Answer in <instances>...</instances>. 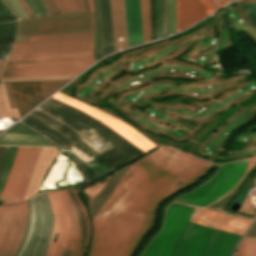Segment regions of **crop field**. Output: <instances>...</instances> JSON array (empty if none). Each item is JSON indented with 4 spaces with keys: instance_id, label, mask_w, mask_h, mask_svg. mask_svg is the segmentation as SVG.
I'll return each mask as SVG.
<instances>
[{
    "instance_id": "obj_1",
    "label": "crop field",
    "mask_w": 256,
    "mask_h": 256,
    "mask_svg": "<svg viewBox=\"0 0 256 256\" xmlns=\"http://www.w3.org/2000/svg\"><path fill=\"white\" fill-rule=\"evenodd\" d=\"M210 165L163 147L131 165L92 221L88 256H130L152 226L156 205L200 177Z\"/></svg>"
},
{
    "instance_id": "obj_2",
    "label": "crop field",
    "mask_w": 256,
    "mask_h": 256,
    "mask_svg": "<svg viewBox=\"0 0 256 256\" xmlns=\"http://www.w3.org/2000/svg\"><path fill=\"white\" fill-rule=\"evenodd\" d=\"M248 160L222 164L219 171L203 185L174 200L165 212L162 229L141 256H231L240 234L244 233L252 220L203 208L220 200L236 187L256 163V158ZM187 217L190 222L240 234L190 223Z\"/></svg>"
},
{
    "instance_id": "obj_3",
    "label": "crop field",
    "mask_w": 256,
    "mask_h": 256,
    "mask_svg": "<svg viewBox=\"0 0 256 256\" xmlns=\"http://www.w3.org/2000/svg\"><path fill=\"white\" fill-rule=\"evenodd\" d=\"M94 32L17 37L7 61L93 57Z\"/></svg>"
},
{
    "instance_id": "obj_4",
    "label": "crop field",
    "mask_w": 256,
    "mask_h": 256,
    "mask_svg": "<svg viewBox=\"0 0 256 256\" xmlns=\"http://www.w3.org/2000/svg\"><path fill=\"white\" fill-rule=\"evenodd\" d=\"M39 108L51 114L52 116L58 118L59 120L63 121L67 125L71 126L78 132L88 137L90 140L96 137L104 145L98 149L92 146L88 141H86L82 136L73 131L71 128H69L62 122L52 118L51 116L37 109L30 113L31 116L37 118L38 120L46 123L47 125L55 128L56 130L71 138L76 144H78L84 151H86L92 157L116 147L131 160L135 158L124 148H122L118 143H116L111 137H109L106 133H104L103 131H101L88 121H86L78 114L64 107H61L49 100H47L45 103L39 106Z\"/></svg>"
},
{
    "instance_id": "obj_5",
    "label": "crop field",
    "mask_w": 256,
    "mask_h": 256,
    "mask_svg": "<svg viewBox=\"0 0 256 256\" xmlns=\"http://www.w3.org/2000/svg\"><path fill=\"white\" fill-rule=\"evenodd\" d=\"M29 225L16 256H44L50 236L52 216L46 194L28 199ZM42 239L41 241H38Z\"/></svg>"
},
{
    "instance_id": "obj_6",
    "label": "crop field",
    "mask_w": 256,
    "mask_h": 256,
    "mask_svg": "<svg viewBox=\"0 0 256 256\" xmlns=\"http://www.w3.org/2000/svg\"><path fill=\"white\" fill-rule=\"evenodd\" d=\"M94 31L93 13L20 21L18 36Z\"/></svg>"
},
{
    "instance_id": "obj_7",
    "label": "crop field",
    "mask_w": 256,
    "mask_h": 256,
    "mask_svg": "<svg viewBox=\"0 0 256 256\" xmlns=\"http://www.w3.org/2000/svg\"><path fill=\"white\" fill-rule=\"evenodd\" d=\"M52 208L53 224L49 241L70 242L71 226L67 205L60 191L46 193ZM49 242L45 256H67L70 243Z\"/></svg>"
},
{
    "instance_id": "obj_8",
    "label": "crop field",
    "mask_w": 256,
    "mask_h": 256,
    "mask_svg": "<svg viewBox=\"0 0 256 256\" xmlns=\"http://www.w3.org/2000/svg\"><path fill=\"white\" fill-rule=\"evenodd\" d=\"M53 97L66 102L84 112L87 114L95 117L96 119L102 121L104 124H106L109 128L114 130L116 133L121 135L123 138L134 144L136 147L141 149L142 151H147L154 146L151 141H149L147 138H145L143 135H141L139 132H137L135 129H133L131 126H129L127 123L107 114L102 111H99L97 109H94L92 107H89L87 105H84L80 102H77L73 99H70L66 96H63L59 93L55 94Z\"/></svg>"
},
{
    "instance_id": "obj_9",
    "label": "crop field",
    "mask_w": 256,
    "mask_h": 256,
    "mask_svg": "<svg viewBox=\"0 0 256 256\" xmlns=\"http://www.w3.org/2000/svg\"><path fill=\"white\" fill-rule=\"evenodd\" d=\"M93 61L6 64L0 77L42 74H79Z\"/></svg>"
},
{
    "instance_id": "obj_10",
    "label": "crop field",
    "mask_w": 256,
    "mask_h": 256,
    "mask_svg": "<svg viewBox=\"0 0 256 256\" xmlns=\"http://www.w3.org/2000/svg\"><path fill=\"white\" fill-rule=\"evenodd\" d=\"M35 147H18L8 175L6 184L0 197L4 198L2 205L12 204L19 183L29 165Z\"/></svg>"
},
{
    "instance_id": "obj_11",
    "label": "crop field",
    "mask_w": 256,
    "mask_h": 256,
    "mask_svg": "<svg viewBox=\"0 0 256 256\" xmlns=\"http://www.w3.org/2000/svg\"><path fill=\"white\" fill-rule=\"evenodd\" d=\"M213 12L212 0H176L177 32Z\"/></svg>"
},
{
    "instance_id": "obj_12",
    "label": "crop field",
    "mask_w": 256,
    "mask_h": 256,
    "mask_svg": "<svg viewBox=\"0 0 256 256\" xmlns=\"http://www.w3.org/2000/svg\"><path fill=\"white\" fill-rule=\"evenodd\" d=\"M20 204L0 207V256H4L17 229Z\"/></svg>"
},
{
    "instance_id": "obj_13",
    "label": "crop field",
    "mask_w": 256,
    "mask_h": 256,
    "mask_svg": "<svg viewBox=\"0 0 256 256\" xmlns=\"http://www.w3.org/2000/svg\"><path fill=\"white\" fill-rule=\"evenodd\" d=\"M0 145L53 146L18 123L0 135Z\"/></svg>"
},
{
    "instance_id": "obj_14",
    "label": "crop field",
    "mask_w": 256,
    "mask_h": 256,
    "mask_svg": "<svg viewBox=\"0 0 256 256\" xmlns=\"http://www.w3.org/2000/svg\"><path fill=\"white\" fill-rule=\"evenodd\" d=\"M129 45L142 41L140 1L124 0Z\"/></svg>"
},
{
    "instance_id": "obj_15",
    "label": "crop field",
    "mask_w": 256,
    "mask_h": 256,
    "mask_svg": "<svg viewBox=\"0 0 256 256\" xmlns=\"http://www.w3.org/2000/svg\"><path fill=\"white\" fill-rule=\"evenodd\" d=\"M57 152H58V150H56L54 148H47V147L41 148V152L39 155L36 169L33 173L31 181L28 185V188L25 193L23 201L37 192L38 185H39L46 169L48 168V166L50 165V163L56 156Z\"/></svg>"
},
{
    "instance_id": "obj_16",
    "label": "crop field",
    "mask_w": 256,
    "mask_h": 256,
    "mask_svg": "<svg viewBox=\"0 0 256 256\" xmlns=\"http://www.w3.org/2000/svg\"><path fill=\"white\" fill-rule=\"evenodd\" d=\"M114 39L116 51L118 50L117 37H124L120 42L121 49L128 46L123 0H110Z\"/></svg>"
},
{
    "instance_id": "obj_17",
    "label": "crop field",
    "mask_w": 256,
    "mask_h": 256,
    "mask_svg": "<svg viewBox=\"0 0 256 256\" xmlns=\"http://www.w3.org/2000/svg\"><path fill=\"white\" fill-rule=\"evenodd\" d=\"M103 35H104V56L115 51L109 0H100Z\"/></svg>"
},
{
    "instance_id": "obj_18",
    "label": "crop field",
    "mask_w": 256,
    "mask_h": 256,
    "mask_svg": "<svg viewBox=\"0 0 256 256\" xmlns=\"http://www.w3.org/2000/svg\"><path fill=\"white\" fill-rule=\"evenodd\" d=\"M61 192H62V194L65 198V201L68 205V209H69V213H70V217H71V225H72L71 245H70L68 256H76L79 234H80L78 217L76 214L74 204H73L67 190H63Z\"/></svg>"
},
{
    "instance_id": "obj_19",
    "label": "crop field",
    "mask_w": 256,
    "mask_h": 256,
    "mask_svg": "<svg viewBox=\"0 0 256 256\" xmlns=\"http://www.w3.org/2000/svg\"><path fill=\"white\" fill-rule=\"evenodd\" d=\"M28 225V210H27V201L21 204L20 209V220H19V226L16 232V235L7 251L6 256H14L17 249L19 248Z\"/></svg>"
},
{
    "instance_id": "obj_20",
    "label": "crop field",
    "mask_w": 256,
    "mask_h": 256,
    "mask_svg": "<svg viewBox=\"0 0 256 256\" xmlns=\"http://www.w3.org/2000/svg\"><path fill=\"white\" fill-rule=\"evenodd\" d=\"M94 8L95 19V54L94 61L103 57V35H102V23L100 15L99 0H92Z\"/></svg>"
},
{
    "instance_id": "obj_21",
    "label": "crop field",
    "mask_w": 256,
    "mask_h": 256,
    "mask_svg": "<svg viewBox=\"0 0 256 256\" xmlns=\"http://www.w3.org/2000/svg\"><path fill=\"white\" fill-rule=\"evenodd\" d=\"M40 148L41 147H36L35 148V151H34V154H33V157L31 159V162H30V165H29V168L19 186V189H18V192H17V195H16V198H15V202L14 203H20L22 201V198L24 196V193H25V190L27 188V185L30 181V178L32 176V173L35 169V166H36V162H37V159H38V155H39V152H40Z\"/></svg>"
},
{
    "instance_id": "obj_22",
    "label": "crop field",
    "mask_w": 256,
    "mask_h": 256,
    "mask_svg": "<svg viewBox=\"0 0 256 256\" xmlns=\"http://www.w3.org/2000/svg\"><path fill=\"white\" fill-rule=\"evenodd\" d=\"M60 13L87 12L84 0H54Z\"/></svg>"
},
{
    "instance_id": "obj_23",
    "label": "crop field",
    "mask_w": 256,
    "mask_h": 256,
    "mask_svg": "<svg viewBox=\"0 0 256 256\" xmlns=\"http://www.w3.org/2000/svg\"><path fill=\"white\" fill-rule=\"evenodd\" d=\"M8 7L13 11L14 15L19 19H28L29 16L26 14L24 9L21 7L17 0H4ZM2 0H0V15L12 13Z\"/></svg>"
},
{
    "instance_id": "obj_24",
    "label": "crop field",
    "mask_w": 256,
    "mask_h": 256,
    "mask_svg": "<svg viewBox=\"0 0 256 256\" xmlns=\"http://www.w3.org/2000/svg\"><path fill=\"white\" fill-rule=\"evenodd\" d=\"M247 236L256 237V224ZM236 256H256V240L244 239Z\"/></svg>"
},
{
    "instance_id": "obj_25",
    "label": "crop field",
    "mask_w": 256,
    "mask_h": 256,
    "mask_svg": "<svg viewBox=\"0 0 256 256\" xmlns=\"http://www.w3.org/2000/svg\"><path fill=\"white\" fill-rule=\"evenodd\" d=\"M143 42L150 40L149 1L141 0Z\"/></svg>"
},
{
    "instance_id": "obj_26",
    "label": "crop field",
    "mask_w": 256,
    "mask_h": 256,
    "mask_svg": "<svg viewBox=\"0 0 256 256\" xmlns=\"http://www.w3.org/2000/svg\"><path fill=\"white\" fill-rule=\"evenodd\" d=\"M0 85V118L19 117L16 108L9 109L3 83Z\"/></svg>"
},
{
    "instance_id": "obj_27",
    "label": "crop field",
    "mask_w": 256,
    "mask_h": 256,
    "mask_svg": "<svg viewBox=\"0 0 256 256\" xmlns=\"http://www.w3.org/2000/svg\"><path fill=\"white\" fill-rule=\"evenodd\" d=\"M16 148H17V146H10V148H9L6 164H5V167H4L3 172L1 174V177H0V194H1V191H2L3 186L5 184L7 175L9 173V170H10L13 158H14V154H15Z\"/></svg>"
},
{
    "instance_id": "obj_28",
    "label": "crop field",
    "mask_w": 256,
    "mask_h": 256,
    "mask_svg": "<svg viewBox=\"0 0 256 256\" xmlns=\"http://www.w3.org/2000/svg\"><path fill=\"white\" fill-rule=\"evenodd\" d=\"M30 9L36 15V17H43L49 15L42 0H25Z\"/></svg>"
},
{
    "instance_id": "obj_29",
    "label": "crop field",
    "mask_w": 256,
    "mask_h": 256,
    "mask_svg": "<svg viewBox=\"0 0 256 256\" xmlns=\"http://www.w3.org/2000/svg\"><path fill=\"white\" fill-rule=\"evenodd\" d=\"M161 37L168 35L167 0H160Z\"/></svg>"
},
{
    "instance_id": "obj_30",
    "label": "crop field",
    "mask_w": 256,
    "mask_h": 256,
    "mask_svg": "<svg viewBox=\"0 0 256 256\" xmlns=\"http://www.w3.org/2000/svg\"><path fill=\"white\" fill-rule=\"evenodd\" d=\"M150 1V25H151V40L157 38V24H156V1Z\"/></svg>"
},
{
    "instance_id": "obj_31",
    "label": "crop field",
    "mask_w": 256,
    "mask_h": 256,
    "mask_svg": "<svg viewBox=\"0 0 256 256\" xmlns=\"http://www.w3.org/2000/svg\"><path fill=\"white\" fill-rule=\"evenodd\" d=\"M168 22H169V35L176 32L175 21V1L168 0Z\"/></svg>"
},
{
    "instance_id": "obj_32",
    "label": "crop field",
    "mask_w": 256,
    "mask_h": 256,
    "mask_svg": "<svg viewBox=\"0 0 256 256\" xmlns=\"http://www.w3.org/2000/svg\"><path fill=\"white\" fill-rule=\"evenodd\" d=\"M18 22L1 24L0 25V36L5 35H16Z\"/></svg>"
},
{
    "instance_id": "obj_33",
    "label": "crop field",
    "mask_w": 256,
    "mask_h": 256,
    "mask_svg": "<svg viewBox=\"0 0 256 256\" xmlns=\"http://www.w3.org/2000/svg\"><path fill=\"white\" fill-rule=\"evenodd\" d=\"M247 16L256 14V1L241 6Z\"/></svg>"
},
{
    "instance_id": "obj_34",
    "label": "crop field",
    "mask_w": 256,
    "mask_h": 256,
    "mask_svg": "<svg viewBox=\"0 0 256 256\" xmlns=\"http://www.w3.org/2000/svg\"><path fill=\"white\" fill-rule=\"evenodd\" d=\"M72 60H93V58L44 59V60L16 61V62H7V63H18V62H40V61H72Z\"/></svg>"
},
{
    "instance_id": "obj_35",
    "label": "crop field",
    "mask_w": 256,
    "mask_h": 256,
    "mask_svg": "<svg viewBox=\"0 0 256 256\" xmlns=\"http://www.w3.org/2000/svg\"><path fill=\"white\" fill-rule=\"evenodd\" d=\"M49 12L51 15H54V14H59L53 0H44Z\"/></svg>"
},
{
    "instance_id": "obj_36",
    "label": "crop field",
    "mask_w": 256,
    "mask_h": 256,
    "mask_svg": "<svg viewBox=\"0 0 256 256\" xmlns=\"http://www.w3.org/2000/svg\"><path fill=\"white\" fill-rule=\"evenodd\" d=\"M230 1H232V0H213L214 10L222 7L223 5L229 3Z\"/></svg>"
},
{
    "instance_id": "obj_37",
    "label": "crop field",
    "mask_w": 256,
    "mask_h": 256,
    "mask_svg": "<svg viewBox=\"0 0 256 256\" xmlns=\"http://www.w3.org/2000/svg\"><path fill=\"white\" fill-rule=\"evenodd\" d=\"M8 147H9V146H5V147H4V150H3V153H2V157H1V160H0V174H1L2 169H3V167H4V163H5V159H6Z\"/></svg>"
},
{
    "instance_id": "obj_38",
    "label": "crop field",
    "mask_w": 256,
    "mask_h": 256,
    "mask_svg": "<svg viewBox=\"0 0 256 256\" xmlns=\"http://www.w3.org/2000/svg\"><path fill=\"white\" fill-rule=\"evenodd\" d=\"M72 189H73L74 193L76 194V192H75L74 188H72ZM76 196H77V194H76ZM77 198L79 199V197H78V196H77ZM79 201H80V203H81V205H82V207H83V209H84V212H85V214H86V216H87L88 227H89V233H90L89 218H88V215H87L86 209H85V207H84V205L82 204V202H81V200H80V199H79ZM89 233H88V238H87V242H86V247H87V243H88V239H89ZM86 247H85V251H84V256H85V252H86Z\"/></svg>"
},
{
    "instance_id": "obj_39",
    "label": "crop field",
    "mask_w": 256,
    "mask_h": 256,
    "mask_svg": "<svg viewBox=\"0 0 256 256\" xmlns=\"http://www.w3.org/2000/svg\"><path fill=\"white\" fill-rule=\"evenodd\" d=\"M157 1V24H158V38L160 37V15H159V0Z\"/></svg>"
},
{
    "instance_id": "obj_40",
    "label": "crop field",
    "mask_w": 256,
    "mask_h": 256,
    "mask_svg": "<svg viewBox=\"0 0 256 256\" xmlns=\"http://www.w3.org/2000/svg\"><path fill=\"white\" fill-rule=\"evenodd\" d=\"M20 4L23 6V8L26 10V12L29 14L30 17H34L28 6L25 4L23 0H18Z\"/></svg>"
},
{
    "instance_id": "obj_41",
    "label": "crop field",
    "mask_w": 256,
    "mask_h": 256,
    "mask_svg": "<svg viewBox=\"0 0 256 256\" xmlns=\"http://www.w3.org/2000/svg\"><path fill=\"white\" fill-rule=\"evenodd\" d=\"M11 47L0 48V54H8Z\"/></svg>"
},
{
    "instance_id": "obj_42",
    "label": "crop field",
    "mask_w": 256,
    "mask_h": 256,
    "mask_svg": "<svg viewBox=\"0 0 256 256\" xmlns=\"http://www.w3.org/2000/svg\"><path fill=\"white\" fill-rule=\"evenodd\" d=\"M249 19H250L253 27H255L256 26V15L249 16Z\"/></svg>"
},
{
    "instance_id": "obj_43",
    "label": "crop field",
    "mask_w": 256,
    "mask_h": 256,
    "mask_svg": "<svg viewBox=\"0 0 256 256\" xmlns=\"http://www.w3.org/2000/svg\"><path fill=\"white\" fill-rule=\"evenodd\" d=\"M6 59L0 60V71L5 63Z\"/></svg>"
},
{
    "instance_id": "obj_44",
    "label": "crop field",
    "mask_w": 256,
    "mask_h": 256,
    "mask_svg": "<svg viewBox=\"0 0 256 256\" xmlns=\"http://www.w3.org/2000/svg\"><path fill=\"white\" fill-rule=\"evenodd\" d=\"M88 5H89L90 11H93V8H92V1H91V0H88Z\"/></svg>"
},
{
    "instance_id": "obj_45",
    "label": "crop field",
    "mask_w": 256,
    "mask_h": 256,
    "mask_svg": "<svg viewBox=\"0 0 256 256\" xmlns=\"http://www.w3.org/2000/svg\"><path fill=\"white\" fill-rule=\"evenodd\" d=\"M250 1H253V0H245V1L242 2L240 5L245 4V3H248V2H250Z\"/></svg>"
},
{
    "instance_id": "obj_46",
    "label": "crop field",
    "mask_w": 256,
    "mask_h": 256,
    "mask_svg": "<svg viewBox=\"0 0 256 256\" xmlns=\"http://www.w3.org/2000/svg\"><path fill=\"white\" fill-rule=\"evenodd\" d=\"M8 55H0V59L7 58Z\"/></svg>"
},
{
    "instance_id": "obj_47",
    "label": "crop field",
    "mask_w": 256,
    "mask_h": 256,
    "mask_svg": "<svg viewBox=\"0 0 256 256\" xmlns=\"http://www.w3.org/2000/svg\"><path fill=\"white\" fill-rule=\"evenodd\" d=\"M2 200H3V199H2V198H0V205L2 204Z\"/></svg>"
},
{
    "instance_id": "obj_48",
    "label": "crop field",
    "mask_w": 256,
    "mask_h": 256,
    "mask_svg": "<svg viewBox=\"0 0 256 256\" xmlns=\"http://www.w3.org/2000/svg\"><path fill=\"white\" fill-rule=\"evenodd\" d=\"M3 130H0V132H2Z\"/></svg>"
}]
</instances>
